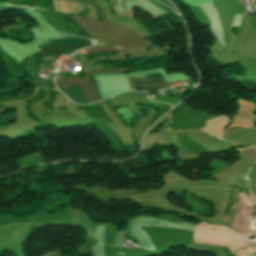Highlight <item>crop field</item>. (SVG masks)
<instances>
[{
  "label": "crop field",
  "mask_w": 256,
  "mask_h": 256,
  "mask_svg": "<svg viewBox=\"0 0 256 256\" xmlns=\"http://www.w3.org/2000/svg\"><path fill=\"white\" fill-rule=\"evenodd\" d=\"M109 191V190H108ZM127 191V190H126Z\"/></svg>",
  "instance_id": "crop-field-7"
},
{
  "label": "crop field",
  "mask_w": 256,
  "mask_h": 256,
  "mask_svg": "<svg viewBox=\"0 0 256 256\" xmlns=\"http://www.w3.org/2000/svg\"><path fill=\"white\" fill-rule=\"evenodd\" d=\"M137 86H145L149 84L159 83L165 81L161 75H154L149 77L135 78Z\"/></svg>",
  "instance_id": "crop-field-2"
},
{
  "label": "crop field",
  "mask_w": 256,
  "mask_h": 256,
  "mask_svg": "<svg viewBox=\"0 0 256 256\" xmlns=\"http://www.w3.org/2000/svg\"><path fill=\"white\" fill-rule=\"evenodd\" d=\"M118 254H121V253H118ZM121 255H125V254H121Z\"/></svg>",
  "instance_id": "crop-field-6"
},
{
  "label": "crop field",
  "mask_w": 256,
  "mask_h": 256,
  "mask_svg": "<svg viewBox=\"0 0 256 256\" xmlns=\"http://www.w3.org/2000/svg\"><path fill=\"white\" fill-rule=\"evenodd\" d=\"M63 15H65L68 19H70L72 21V23L83 33V35L85 37H91L93 38L91 35H89L73 18H71L70 16H68L67 14L62 13Z\"/></svg>",
  "instance_id": "crop-field-4"
},
{
  "label": "crop field",
  "mask_w": 256,
  "mask_h": 256,
  "mask_svg": "<svg viewBox=\"0 0 256 256\" xmlns=\"http://www.w3.org/2000/svg\"><path fill=\"white\" fill-rule=\"evenodd\" d=\"M227 122H228V117L221 116V117L212 119L210 121L209 126L203 128L202 130L220 138L221 130L227 124Z\"/></svg>",
  "instance_id": "crop-field-1"
},
{
  "label": "crop field",
  "mask_w": 256,
  "mask_h": 256,
  "mask_svg": "<svg viewBox=\"0 0 256 256\" xmlns=\"http://www.w3.org/2000/svg\"><path fill=\"white\" fill-rule=\"evenodd\" d=\"M74 1L82 2V3H88V4H91V5L95 6L96 10H97V20L107 19L106 16H105L104 11L102 9V6H101V4L98 0H74Z\"/></svg>",
  "instance_id": "crop-field-3"
},
{
  "label": "crop field",
  "mask_w": 256,
  "mask_h": 256,
  "mask_svg": "<svg viewBox=\"0 0 256 256\" xmlns=\"http://www.w3.org/2000/svg\"><path fill=\"white\" fill-rule=\"evenodd\" d=\"M55 1V0H54ZM55 5H56V1H55ZM56 9H57V5H56ZM58 10V9H57Z\"/></svg>",
  "instance_id": "crop-field-5"
}]
</instances>
